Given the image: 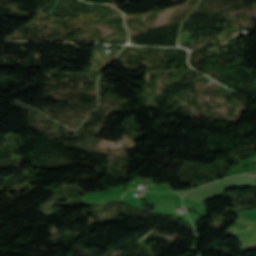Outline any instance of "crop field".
<instances>
[{
	"label": "crop field",
	"mask_w": 256,
	"mask_h": 256,
	"mask_svg": "<svg viewBox=\"0 0 256 256\" xmlns=\"http://www.w3.org/2000/svg\"><path fill=\"white\" fill-rule=\"evenodd\" d=\"M255 245H256V243H254V244H252V245H250V246L244 248V250H246V249H248V248H251V247H253V246H255Z\"/></svg>",
	"instance_id": "8a807250"
}]
</instances>
